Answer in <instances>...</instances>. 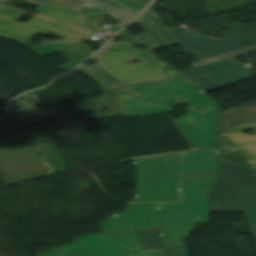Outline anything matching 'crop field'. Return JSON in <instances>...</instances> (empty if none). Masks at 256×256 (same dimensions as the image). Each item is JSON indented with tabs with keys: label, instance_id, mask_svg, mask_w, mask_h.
Masks as SVG:
<instances>
[{
	"label": "crop field",
	"instance_id": "d3111659",
	"mask_svg": "<svg viewBox=\"0 0 256 256\" xmlns=\"http://www.w3.org/2000/svg\"><path fill=\"white\" fill-rule=\"evenodd\" d=\"M234 184L236 185H241V186H246V187H251V188H256V182L255 181H249V180H244L240 178H236L234 180Z\"/></svg>",
	"mask_w": 256,
	"mask_h": 256
},
{
	"label": "crop field",
	"instance_id": "bc2a9ffb",
	"mask_svg": "<svg viewBox=\"0 0 256 256\" xmlns=\"http://www.w3.org/2000/svg\"><path fill=\"white\" fill-rule=\"evenodd\" d=\"M78 69L87 72L89 76L95 79L104 90L124 87L108 71L103 69L98 64L92 66H83Z\"/></svg>",
	"mask_w": 256,
	"mask_h": 256
},
{
	"label": "crop field",
	"instance_id": "cbeb9de0",
	"mask_svg": "<svg viewBox=\"0 0 256 256\" xmlns=\"http://www.w3.org/2000/svg\"><path fill=\"white\" fill-rule=\"evenodd\" d=\"M38 6H57V7H86L101 8L103 10L121 11L127 16L121 20L123 26L128 23L137 13L123 10L109 0H30Z\"/></svg>",
	"mask_w": 256,
	"mask_h": 256
},
{
	"label": "crop field",
	"instance_id": "8a807250",
	"mask_svg": "<svg viewBox=\"0 0 256 256\" xmlns=\"http://www.w3.org/2000/svg\"><path fill=\"white\" fill-rule=\"evenodd\" d=\"M218 147L134 159L136 202L100 223L103 233L157 228L155 201L176 200V177L217 171Z\"/></svg>",
	"mask_w": 256,
	"mask_h": 256
},
{
	"label": "crop field",
	"instance_id": "a9b5d70f",
	"mask_svg": "<svg viewBox=\"0 0 256 256\" xmlns=\"http://www.w3.org/2000/svg\"><path fill=\"white\" fill-rule=\"evenodd\" d=\"M30 21L37 22V23H40L42 25H45V26H48V27H52V28H55V29H58V30H61V31H64V32H67V33H70L72 35L84 38V39H86L88 36L92 35V34H88V33H85V32L78 31V30H76L74 28H71V27H68L66 25L57 23L55 21H52V20L40 17L38 15L33 17Z\"/></svg>",
	"mask_w": 256,
	"mask_h": 256
},
{
	"label": "crop field",
	"instance_id": "d9b57169",
	"mask_svg": "<svg viewBox=\"0 0 256 256\" xmlns=\"http://www.w3.org/2000/svg\"><path fill=\"white\" fill-rule=\"evenodd\" d=\"M137 232L145 250L161 248L162 256H188L186 246L166 248L158 229Z\"/></svg>",
	"mask_w": 256,
	"mask_h": 256
},
{
	"label": "crop field",
	"instance_id": "d1516ede",
	"mask_svg": "<svg viewBox=\"0 0 256 256\" xmlns=\"http://www.w3.org/2000/svg\"><path fill=\"white\" fill-rule=\"evenodd\" d=\"M38 55H48L54 53H63L73 63L80 64L86 58L93 54V49L87 44L81 42L75 43H45L38 45H26Z\"/></svg>",
	"mask_w": 256,
	"mask_h": 256
},
{
	"label": "crop field",
	"instance_id": "4177f3b9",
	"mask_svg": "<svg viewBox=\"0 0 256 256\" xmlns=\"http://www.w3.org/2000/svg\"><path fill=\"white\" fill-rule=\"evenodd\" d=\"M242 50H244V49H242ZM242 50L231 52V53H228V54L220 55V56H217V57L209 58V59L198 61V62H193L191 64L195 67V66H198V65L206 64V63H211V62H215V61H219V60H224V59L232 58V57H235V56L243 53ZM246 50L248 52L254 51V50H256V46L250 47V48H246Z\"/></svg>",
	"mask_w": 256,
	"mask_h": 256
},
{
	"label": "crop field",
	"instance_id": "92a150f3",
	"mask_svg": "<svg viewBox=\"0 0 256 256\" xmlns=\"http://www.w3.org/2000/svg\"><path fill=\"white\" fill-rule=\"evenodd\" d=\"M143 29L147 32L140 36H137L143 43H145L152 50L167 47L162 39L157 35V33L152 29V27L147 23V21L141 15L136 20ZM133 21L132 23H134Z\"/></svg>",
	"mask_w": 256,
	"mask_h": 256
},
{
	"label": "crop field",
	"instance_id": "750c4746",
	"mask_svg": "<svg viewBox=\"0 0 256 256\" xmlns=\"http://www.w3.org/2000/svg\"><path fill=\"white\" fill-rule=\"evenodd\" d=\"M76 66H78V65L72 64V63L69 61V62H66V63H64V64L58 66V67L61 68V69L66 70V71H68V70H70V69H72V68H74V67H76Z\"/></svg>",
	"mask_w": 256,
	"mask_h": 256
},
{
	"label": "crop field",
	"instance_id": "dd49c442",
	"mask_svg": "<svg viewBox=\"0 0 256 256\" xmlns=\"http://www.w3.org/2000/svg\"><path fill=\"white\" fill-rule=\"evenodd\" d=\"M244 129L254 134L245 136ZM220 162L256 168V122L222 132Z\"/></svg>",
	"mask_w": 256,
	"mask_h": 256
},
{
	"label": "crop field",
	"instance_id": "5a996713",
	"mask_svg": "<svg viewBox=\"0 0 256 256\" xmlns=\"http://www.w3.org/2000/svg\"><path fill=\"white\" fill-rule=\"evenodd\" d=\"M169 30L179 40L182 44L181 47L187 54L256 36V32L246 34L243 25L234 26L233 34L221 39L208 38L182 26L171 28Z\"/></svg>",
	"mask_w": 256,
	"mask_h": 256
},
{
	"label": "crop field",
	"instance_id": "4a817a6b",
	"mask_svg": "<svg viewBox=\"0 0 256 256\" xmlns=\"http://www.w3.org/2000/svg\"><path fill=\"white\" fill-rule=\"evenodd\" d=\"M254 45H256V37L200 51L194 54H190V56L198 61Z\"/></svg>",
	"mask_w": 256,
	"mask_h": 256
},
{
	"label": "crop field",
	"instance_id": "5142ce71",
	"mask_svg": "<svg viewBox=\"0 0 256 256\" xmlns=\"http://www.w3.org/2000/svg\"><path fill=\"white\" fill-rule=\"evenodd\" d=\"M222 117L224 130L256 121V101L224 111Z\"/></svg>",
	"mask_w": 256,
	"mask_h": 256
},
{
	"label": "crop field",
	"instance_id": "730fd06b",
	"mask_svg": "<svg viewBox=\"0 0 256 256\" xmlns=\"http://www.w3.org/2000/svg\"><path fill=\"white\" fill-rule=\"evenodd\" d=\"M113 1L125 7L126 9L137 11V12H140L146 6L149 5L143 0H113Z\"/></svg>",
	"mask_w": 256,
	"mask_h": 256
},
{
	"label": "crop field",
	"instance_id": "eef30255",
	"mask_svg": "<svg viewBox=\"0 0 256 256\" xmlns=\"http://www.w3.org/2000/svg\"><path fill=\"white\" fill-rule=\"evenodd\" d=\"M25 14H27V12H24L11 6L0 7V15L12 18L14 20H19Z\"/></svg>",
	"mask_w": 256,
	"mask_h": 256
},
{
	"label": "crop field",
	"instance_id": "34b2d1b8",
	"mask_svg": "<svg viewBox=\"0 0 256 256\" xmlns=\"http://www.w3.org/2000/svg\"><path fill=\"white\" fill-rule=\"evenodd\" d=\"M216 176L217 173L178 179L179 201L157 203L159 230L166 247L179 246L195 231V224L209 222L207 196Z\"/></svg>",
	"mask_w": 256,
	"mask_h": 256
},
{
	"label": "crop field",
	"instance_id": "ac0d7876",
	"mask_svg": "<svg viewBox=\"0 0 256 256\" xmlns=\"http://www.w3.org/2000/svg\"><path fill=\"white\" fill-rule=\"evenodd\" d=\"M131 92L137 94L133 95ZM117 103L120 117L162 114L172 111L171 105L187 103L196 114L191 122L180 126L188 140L194 148L217 145L220 106L186 78L117 90Z\"/></svg>",
	"mask_w": 256,
	"mask_h": 256
},
{
	"label": "crop field",
	"instance_id": "214f88e0",
	"mask_svg": "<svg viewBox=\"0 0 256 256\" xmlns=\"http://www.w3.org/2000/svg\"><path fill=\"white\" fill-rule=\"evenodd\" d=\"M125 251L140 250L138 256H161L160 249L144 251L136 231L117 233Z\"/></svg>",
	"mask_w": 256,
	"mask_h": 256
},
{
	"label": "crop field",
	"instance_id": "22f410ed",
	"mask_svg": "<svg viewBox=\"0 0 256 256\" xmlns=\"http://www.w3.org/2000/svg\"><path fill=\"white\" fill-rule=\"evenodd\" d=\"M93 99L78 96L79 115H83L87 118L119 117L116 104V89L104 91L102 96L95 98L97 102H94ZM88 101H90V104H87ZM103 102H106V104H103ZM103 107L111 111H106V113L100 112V110H104ZM90 112H92V114H90Z\"/></svg>",
	"mask_w": 256,
	"mask_h": 256
},
{
	"label": "crop field",
	"instance_id": "dafd665d",
	"mask_svg": "<svg viewBox=\"0 0 256 256\" xmlns=\"http://www.w3.org/2000/svg\"><path fill=\"white\" fill-rule=\"evenodd\" d=\"M143 15L149 20L155 30L168 43L169 46L180 45L178 40L171 34V32L155 14L151 7Z\"/></svg>",
	"mask_w": 256,
	"mask_h": 256
},
{
	"label": "crop field",
	"instance_id": "f4fd0767",
	"mask_svg": "<svg viewBox=\"0 0 256 256\" xmlns=\"http://www.w3.org/2000/svg\"><path fill=\"white\" fill-rule=\"evenodd\" d=\"M197 68L222 87L253 77L235 58L198 66ZM180 72L204 92L219 88L194 68Z\"/></svg>",
	"mask_w": 256,
	"mask_h": 256
},
{
	"label": "crop field",
	"instance_id": "3316defc",
	"mask_svg": "<svg viewBox=\"0 0 256 256\" xmlns=\"http://www.w3.org/2000/svg\"><path fill=\"white\" fill-rule=\"evenodd\" d=\"M38 33L47 36L48 34L63 38L65 40L59 41H42V42H68L79 41L80 38L52 30L34 23L20 24L14 21L4 19L0 17V35L27 44Z\"/></svg>",
	"mask_w": 256,
	"mask_h": 256
},
{
	"label": "crop field",
	"instance_id": "d8731c3e",
	"mask_svg": "<svg viewBox=\"0 0 256 256\" xmlns=\"http://www.w3.org/2000/svg\"><path fill=\"white\" fill-rule=\"evenodd\" d=\"M36 11L40 12L39 15L92 33L99 30L116 33L122 28L116 25L110 29H103L95 25L96 20L108 15L101 9L40 7Z\"/></svg>",
	"mask_w": 256,
	"mask_h": 256
},
{
	"label": "crop field",
	"instance_id": "bd1437ed",
	"mask_svg": "<svg viewBox=\"0 0 256 256\" xmlns=\"http://www.w3.org/2000/svg\"><path fill=\"white\" fill-rule=\"evenodd\" d=\"M9 1H12V0H0V4L6 3V2H9Z\"/></svg>",
	"mask_w": 256,
	"mask_h": 256
},
{
	"label": "crop field",
	"instance_id": "e52e79f7",
	"mask_svg": "<svg viewBox=\"0 0 256 256\" xmlns=\"http://www.w3.org/2000/svg\"><path fill=\"white\" fill-rule=\"evenodd\" d=\"M37 256H136L135 252L123 253L115 233L88 235L73 243L60 246Z\"/></svg>",
	"mask_w": 256,
	"mask_h": 256
},
{
	"label": "crop field",
	"instance_id": "28ad6ade",
	"mask_svg": "<svg viewBox=\"0 0 256 256\" xmlns=\"http://www.w3.org/2000/svg\"><path fill=\"white\" fill-rule=\"evenodd\" d=\"M233 176L218 175L208 196L210 212H241L232 185Z\"/></svg>",
	"mask_w": 256,
	"mask_h": 256
},
{
	"label": "crop field",
	"instance_id": "733c2abd",
	"mask_svg": "<svg viewBox=\"0 0 256 256\" xmlns=\"http://www.w3.org/2000/svg\"><path fill=\"white\" fill-rule=\"evenodd\" d=\"M247 223L256 238V189L233 185Z\"/></svg>",
	"mask_w": 256,
	"mask_h": 256
},
{
	"label": "crop field",
	"instance_id": "412701ff",
	"mask_svg": "<svg viewBox=\"0 0 256 256\" xmlns=\"http://www.w3.org/2000/svg\"><path fill=\"white\" fill-rule=\"evenodd\" d=\"M136 58L142 63L130 64L129 58ZM92 59L108 70L122 84L170 79L181 77L166 62L160 61L150 49H135L127 41L110 42Z\"/></svg>",
	"mask_w": 256,
	"mask_h": 256
},
{
	"label": "crop field",
	"instance_id": "ae1a2a85",
	"mask_svg": "<svg viewBox=\"0 0 256 256\" xmlns=\"http://www.w3.org/2000/svg\"><path fill=\"white\" fill-rule=\"evenodd\" d=\"M119 35L123 40L127 39L135 47H138L139 45L143 44L137 37L133 36L125 29Z\"/></svg>",
	"mask_w": 256,
	"mask_h": 256
},
{
	"label": "crop field",
	"instance_id": "00972430",
	"mask_svg": "<svg viewBox=\"0 0 256 256\" xmlns=\"http://www.w3.org/2000/svg\"><path fill=\"white\" fill-rule=\"evenodd\" d=\"M219 173L235 175L240 178L256 180V169L220 163Z\"/></svg>",
	"mask_w": 256,
	"mask_h": 256
}]
</instances>
